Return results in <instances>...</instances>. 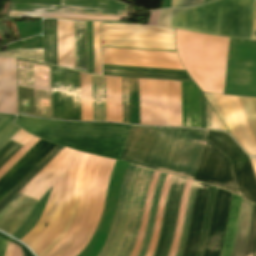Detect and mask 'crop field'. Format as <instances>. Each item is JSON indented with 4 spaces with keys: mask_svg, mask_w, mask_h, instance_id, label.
Wrapping results in <instances>:
<instances>
[{
    "mask_svg": "<svg viewBox=\"0 0 256 256\" xmlns=\"http://www.w3.org/2000/svg\"><path fill=\"white\" fill-rule=\"evenodd\" d=\"M256 140V99L239 97Z\"/></svg>",
    "mask_w": 256,
    "mask_h": 256,
    "instance_id": "42",
    "label": "crop field"
},
{
    "mask_svg": "<svg viewBox=\"0 0 256 256\" xmlns=\"http://www.w3.org/2000/svg\"><path fill=\"white\" fill-rule=\"evenodd\" d=\"M103 74L192 81L189 76L103 70Z\"/></svg>",
    "mask_w": 256,
    "mask_h": 256,
    "instance_id": "40",
    "label": "crop field"
},
{
    "mask_svg": "<svg viewBox=\"0 0 256 256\" xmlns=\"http://www.w3.org/2000/svg\"><path fill=\"white\" fill-rule=\"evenodd\" d=\"M213 0H172L171 7H184V6H192L197 4H202L204 2H210Z\"/></svg>",
    "mask_w": 256,
    "mask_h": 256,
    "instance_id": "48",
    "label": "crop field"
},
{
    "mask_svg": "<svg viewBox=\"0 0 256 256\" xmlns=\"http://www.w3.org/2000/svg\"><path fill=\"white\" fill-rule=\"evenodd\" d=\"M210 187L211 186L209 185H205L201 183H199L198 185V189H197V193H196V197L193 205L189 230L186 237L184 252L182 256L195 255L199 234H200V229H201L202 218H203L206 200H207Z\"/></svg>",
    "mask_w": 256,
    "mask_h": 256,
    "instance_id": "13",
    "label": "crop field"
},
{
    "mask_svg": "<svg viewBox=\"0 0 256 256\" xmlns=\"http://www.w3.org/2000/svg\"><path fill=\"white\" fill-rule=\"evenodd\" d=\"M140 124L169 126L168 81L139 79Z\"/></svg>",
    "mask_w": 256,
    "mask_h": 256,
    "instance_id": "6",
    "label": "crop field"
},
{
    "mask_svg": "<svg viewBox=\"0 0 256 256\" xmlns=\"http://www.w3.org/2000/svg\"><path fill=\"white\" fill-rule=\"evenodd\" d=\"M61 177H62V175L53 185L51 194L49 196V199L46 204V208H45V211H44L42 217L40 218L38 223L33 227V229L20 240V241L24 242L25 244L28 245L42 231L46 222L48 221V219L53 211L55 202H56Z\"/></svg>",
    "mask_w": 256,
    "mask_h": 256,
    "instance_id": "24",
    "label": "crop field"
},
{
    "mask_svg": "<svg viewBox=\"0 0 256 256\" xmlns=\"http://www.w3.org/2000/svg\"><path fill=\"white\" fill-rule=\"evenodd\" d=\"M172 177H173L172 175H168V174L166 176L165 184L163 186L161 196H160L159 207H158V211H157V215H156L153 237H152V241H151V243L148 247L146 256H152L153 251L155 249V246L158 242V234H159V229H160V224H161V219H162L163 207H164L166 195H167Z\"/></svg>",
    "mask_w": 256,
    "mask_h": 256,
    "instance_id": "32",
    "label": "crop field"
},
{
    "mask_svg": "<svg viewBox=\"0 0 256 256\" xmlns=\"http://www.w3.org/2000/svg\"><path fill=\"white\" fill-rule=\"evenodd\" d=\"M44 61L57 65L56 20H43Z\"/></svg>",
    "mask_w": 256,
    "mask_h": 256,
    "instance_id": "21",
    "label": "crop field"
},
{
    "mask_svg": "<svg viewBox=\"0 0 256 256\" xmlns=\"http://www.w3.org/2000/svg\"><path fill=\"white\" fill-rule=\"evenodd\" d=\"M15 116L0 115V148L19 130L12 125Z\"/></svg>",
    "mask_w": 256,
    "mask_h": 256,
    "instance_id": "39",
    "label": "crop field"
},
{
    "mask_svg": "<svg viewBox=\"0 0 256 256\" xmlns=\"http://www.w3.org/2000/svg\"><path fill=\"white\" fill-rule=\"evenodd\" d=\"M252 40H256V0L254 4Z\"/></svg>",
    "mask_w": 256,
    "mask_h": 256,
    "instance_id": "52",
    "label": "crop field"
},
{
    "mask_svg": "<svg viewBox=\"0 0 256 256\" xmlns=\"http://www.w3.org/2000/svg\"><path fill=\"white\" fill-rule=\"evenodd\" d=\"M123 122L129 123L128 78H122Z\"/></svg>",
    "mask_w": 256,
    "mask_h": 256,
    "instance_id": "47",
    "label": "crop field"
},
{
    "mask_svg": "<svg viewBox=\"0 0 256 256\" xmlns=\"http://www.w3.org/2000/svg\"><path fill=\"white\" fill-rule=\"evenodd\" d=\"M130 123L139 124L138 79L129 78Z\"/></svg>",
    "mask_w": 256,
    "mask_h": 256,
    "instance_id": "38",
    "label": "crop field"
},
{
    "mask_svg": "<svg viewBox=\"0 0 256 256\" xmlns=\"http://www.w3.org/2000/svg\"><path fill=\"white\" fill-rule=\"evenodd\" d=\"M103 69L188 75L186 71H179V70H165V69H151V68H137V67H123V66H109V65H103Z\"/></svg>",
    "mask_w": 256,
    "mask_h": 256,
    "instance_id": "46",
    "label": "crop field"
},
{
    "mask_svg": "<svg viewBox=\"0 0 256 256\" xmlns=\"http://www.w3.org/2000/svg\"><path fill=\"white\" fill-rule=\"evenodd\" d=\"M191 182H192L191 180H188V179L186 180V184L184 187V191H183V195H182V199H181V203H180L178 220H177V224H176V230H175V234H174V238H173L169 256L175 255V251L177 248V244H178V240H179V236H180V232H181V228H182V224H183L185 206H186V201H187Z\"/></svg>",
    "mask_w": 256,
    "mask_h": 256,
    "instance_id": "35",
    "label": "crop field"
},
{
    "mask_svg": "<svg viewBox=\"0 0 256 256\" xmlns=\"http://www.w3.org/2000/svg\"><path fill=\"white\" fill-rule=\"evenodd\" d=\"M254 0H219L214 3L172 10V29L251 40Z\"/></svg>",
    "mask_w": 256,
    "mask_h": 256,
    "instance_id": "2",
    "label": "crop field"
},
{
    "mask_svg": "<svg viewBox=\"0 0 256 256\" xmlns=\"http://www.w3.org/2000/svg\"><path fill=\"white\" fill-rule=\"evenodd\" d=\"M182 126L200 128L199 88L181 82Z\"/></svg>",
    "mask_w": 256,
    "mask_h": 256,
    "instance_id": "14",
    "label": "crop field"
},
{
    "mask_svg": "<svg viewBox=\"0 0 256 256\" xmlns=\"http://www.w3.org/2000/svg\"><path fill=\"white\" fill-rule=\"evenodd\" d=\"M6 243H7V241L0 238V256L4 255Z\"/></svg>",
    "mask_w": 256,
    "mask_h": 256,
    "instance_id": "54",
    "label": "crop field"
},
{
    "mask_svg": "<svg viewBox=\"0 0 256 256\" xmlns=\"http://www.w3.org/2000/svg\"><path fill=\"white\" fill-rule=\"evenodd\" d=\"M140 169H141V167H139V166H136L135 169H134L133 175H132L131 180L129 182L126 203H125V207H124L121 222L118 226L116 238H115V241H114L112 247L107 252L106 256H113L117 247H118V245H119V243H120V241H121L122 234H123L124 228L126 226V222H127L128 211H129V206H130V202H131L132 193H133V190H134V187H135Z\"/></svg>",
    "mask_w": 256,
    "mask_h": 256,
    "instance_id": "27",
    "label": "crop field"
},
{
    "mask_svg": "<svg viewBox=\"0 0 256 256\" xmlns=\"http://www.w3.org/2000/svg\"><path fill=\"white\" fill-rule=\"evenodd\" d=\"M10 241H12V242H14V243L20 245V246L22 247V249L24 250L25 256H33L32 253H31L27 248H25L24 246H22L21 244H19L17 241H15V240H13V239H11V238H10Z\"/></svg>",
    "mask_w": 256,
    "mask_h": 256,
    "instance_id": "55",
    "label": "crop field"
},
{
    "mask_svg": "<svg viewBox=\"0 0 256 256\" xmlns=\"http://www.w3.org/2000/svg\"><path fill=\"white\" fill-rule=\"evenodd\" d=\"M165 175L166 174L162 173L161 176H160V179L158 181V184H157V187H156V190H155V194H154V198H153V202H152V206H151V211H150V217H149L147 230H146L144 240H143V243H142V247H141V250H140L138 256H144L145 255L148 244L150 242L152 231H153V226H154L157 204H158V200H159V195H160V191H161V188H162V184H163Z\"/></svg>",
    "mask_w": 256,
    "mask_h": 256,
    "instance_id": "31",
    "label": "crop field"
},
{
    "mask_svg": "<svg viewBox=\"0 0 256 256\" xmlns=\"http://www.w3.org/2000/svg\"><path fill=\"white\" fill-rule=\"evenodd\" d=\"M32 135L22 131L21 129L16 133L12 140L24 145ZM10 140L1 150H0V167L10 159L21 147L22 145Z\"/></svg>",
    "mask_w": 256,
    "mask_h": 256,
    "instance_id": "33",
    "label": "crop field"
},
{
    "mask_svg": "<svg viewBox=\"0 0 256 256\" xmlns=\"http://www.w3.org/2000/svg\"><path fill=\"white\" fill-rule=\"evenodd\" d=\"M231 194L218 189L203 256H219L226 228Z\"/></svg>",
    "mask_w": 256,
    "mask_h": 256,
    "instance_id": "10",
    "label": "crop field"
},
{
    "mask_svg": "<svg viewBox=\"0 0 256 256\" xmlns=\"http://www.w3.org/2000/svg\"><path fill=\"white\" fill-rule=\"evenodd\" d=\"M204 94L222 122L224 123L225 121L231 136L250 156H256V142L242 110L239 98L229 95L212 94L222 114L223 121L212 95Z\"/></svg>",
    "mask_w": 256,
    "mask_h": 256,
    "instance_id": "5",
    "label": "crop field"
},
{
    "mask_svg": "<svg viewBox=\"0 0 256 256\" xmlns=\"http://www.w3.org/2000/svg\"><path fill=\"white\" fill-rule=\"evenodd\" d=\"M58 65L74 69L73 22L57 20Z\"/></svg>",
    "mask_w": 256,
    "mask_h": 256,
    "instance_id": "15",
    "label": "crop field"
},
{
    "mask_svg": "<svg viewBox=\"0 0 256 256\" xmlns=\"http://www.w3.org/2000/svg\"><path fill=\"white\" fill-rule=\"evenodd\" d=\"M134 167H135L134 165L130 164L129 168L123 178L121 189H120L118 208H117V211H116V214L114 217L112 228H111V231L107 238V241L105 243V246L98 256H105L106 252L108 251V249L110 248V246L114 240L116 229L120 222V218H121V214H122V210H123V206H124V202H125V198H126L128 182L130 180V177H131Z\"/></svg>",
    "mask_w": 256,
    "mask_h": 256,
    "instance_id": "22",
    "label": "crop field"
},
{
    "mask_svg": "<svg viewBox=\"0 0 256 256\" xmlns=\"http://www.w3.org/2000/svg\"><path fill=\"white\" fill-rule=\"evenodd\" d=\"M36 204L37 201L18 193L0 210V230L12 235Z\"/></svg>",
    "mask_w": 256,
    "mask_h": 256,
    "instance_id": "12",
    "label": "crop field"
},
{
    "mask_svg": "<svg viewBox=\"0 0 256 256\" xmlns=\"http://www.w3.org/2000/svg\"><path fill=\"white\" fill-rule=\"evenodd\" d=\"M93 121H105L104 76L92 75Z\"/></svg>",
    "mask_w": 256,
    "mask_h": 256,
    "instance_id": "25",
    "label": "crop field"
},
{
    "mask_svg": "<svg viewBox=\"0 0 256 256\" xmlns=\"http://www.w3.org/2000/svg\"><path fill=\"white\" fill-rule=\"evenodd\" d=\"M216 189L217 188L212 186V189L209 193V197H208V201H207V205H206V210H205V214H204V219H203L201 237H200V241H199L196 256H202V252H203V248H204V244H205V240H206V234H207V229H208V225H209V219H210L211 212H212L213 200H214V195L216 193Z\"/></svg>",
    "mask_w": 256,
    "mask_h": 256,
    "instance_id": "37",
    "label": "crop field"
},
{
    "mask_svg": "<svg viewBox=\"0 0 256 256\" xmlns=\"http://www.w3.org/2000/svg\"><path fill=\"white\" fill-rule=\"evenodd\" d=\"M252 203L242 199L239 221L231 256H243L249 228Z\"/></svg>",
    "mask_w": 256,
    "mask_h": 256,
    "instance_id": "18",
    "label": "crop field"
},
{
    "mask_svg": "<svg viewBox=\"0 0 256 256\" xmlns=\"http://www.w3.org/2000/svg\"><path fill=\"white\" fill-rule=\"evenodd\" d=\"M75 69L86 72L85 22H74Z\"/></svg>",
    "mask_w": 256,
    "mask_h": 256,
    "instance_id": "26",
    "label": "crop field"
},
{
    "mask_svg": "<svg viewBox=\"0 0 256 256\" xmlns=\"http://www.w3.org/2000/svg\"><path fill=\"white\" fill-rule=\"evenodd\" d=\"M95 73L101 74L100 23L93 22Z\"/></svg>",
    "mask_w": 256,
    "mask_h": 256,
    "instance_id": "44",
    "label": "crop field"
},
{
    "mask_svg": "<svg viewBox=\"0 0 256 256\" xmlns=\"http://www.w3.org/2000/svg\"><path fill=\"white\" fill-rule=\"evenodd\" d=\"M63 147L56 146L39 164H37L1 201L0 209L19 192L44 166H46Z\"/></svg>",
    "mask_w": 256,
    "mask_h": 256,
    "instance_id": "28",
    "label": "crop field"
},
{
    "mask_svg": "<svg viewBox=\"0 0 256 256\" xmlns=\"http://www.w3.org/2000/svg\"><path fill=\"white\" fill-rule=\"evenodd\" d=\"M16 125L45 140L118 160L130 126L68 123L17 116ZM256 204V180L231 137L194 129L131 126L119 160L219 187Z\"/></svg>",
    "mask_w": 256,
    "mask_h": 256,
    "instance_id": "1",
    "label": "crop field"
},
{
    "mask_svg": "<svg viewBox=\"0 0 256 256\" xmlns=\"http://www.w3.org/2000/svg\"><path fill=\"white\" fill-rule=\"evenodd\" d=\"M256 176V158H250Z\"/></svg>",
    "mask_w": 256,
    "mask_h": 256,
    "instance_id": "57",
    "label": "crop field"
},
{
    "mask_svg": "<svg viewBox=\"0 0 256 256\" xmlns=\"http://www.w3.org/2000/svg\"><path fill=\"white\" fill-rule=\"evenodd\" d=\"M60 5L127 11L128 5L113 0H61Z\"/></svg>",
    "mask_w": 256,
    "mask_h": 256,
    "instance_id": "29",
    "label": "crop field"
},
{
    "mask_svg": "<svg viewBox=\"0 0 256 256\" xmlns=\"http://www.w3.org/2000/svg\"><path fill=\"white\" fill-rule=\"evenodd\" d=\"M87 72L94 73L92 22H86Z\"/></svg>",
    "mask_w": 256,
    "mask_h": 256,
    "instance_id": "45",
    "label": "crop field"
},
{
    "mask_svg": "<svg viewBox=\"0 0 256 256\" xmlns=\"http://www.w3.org/2000/svg\"><path fill=\"white\" fill-rule=\"evenodd\" d=\"M8 16L40 17V13L10 11Z\"/></svg>",
    "mask_w": 256,
    "mask_h": 256,
    "instance_id": "51",
    "label": "crop field"
},
{
    "mask_svg": "<svg viewBox=\"0 0 256 256\" xmlns=\"http://www.w3.org/2000/svg\"><path fill=\"white\" fill-rule=\"evenodd\" d=\"M159 174H160L159 172L155 171L154 175H153V178L151 180L149 190H148L147 199H146V204H145V208H144V212H143V216H142L139 235H138V238L136 240V243H135V245L132 249V252H131L130 256H137V254L139 252V249L141 247L142 239H143V236H144V233H145L147 220H148V216H149L152 197H153V193H154V190H155V186H156Z\"/></svg>",
    "mask_w": 256,
    "mask_h": 256,
    "instance_id": "30",
    "label": "crop field"
},
{
    "mask_svg": "<svg viewBox=\"0 0 256 256\" xmlns=\"http://www.w3.org/2000/svg\"><path fill=\"white\" fill-rule=\"evenodd\" d=\"M102 47L176 52L174 30L122 22H102Z\"/></svg>",
    "mask_w": 256,
    "mask_h": 256,
    "instance_id": "3",
    "label": "crop field"
},
{
    "mask_svg": "<svg viewBox=\"0 0 256 256\" xmlns=\"http://www.w3.org/2000/svg\"><path fill=\"white\" fill-rule=\"evenodd\" d=\"M0 56L30 58L43 62V49H18L0 52Z\"/></svg>",
    "mask_w": 256,
    "mask_h": 256,
    "instance_id": "43",
    "label": "crop field"
},
{
    "mask_svg": "<svg viewBox=\"0 0 256 256\" xmlns=\"http://www.w3.org/2000/svg\"><path fill=\"white\" fill-rule=\"evenodd\" d=\"M170 10H161L157 26L169 28Z\"/></svg>",
    "mask_w": 256,
    "mask_h": 256,
    "instance_id": "49",
    "label": "crop field"
},
{
    "mask_svg": "<svg viewBox=\"0 0 256 256\" xmlns=\"http://www.w3.org/2000/svg\"><path fill=\"white\" fill-rule=\"evenodd\" d=\"M0 112L17 114L16 59L0 58Z\"/></svg>",
    "mask_w": 256,
    "mask_h": 256,
    "instance_id": "11",
    "label": "crop field"
},
{
    "mask_svg": "<svg viewBox=\"0 0 256 256\" xmlns=\"http://www.w3.org/2000/svg\"><path fill=\"white\" fill-rule=\"evenodd\" d=\"M82 120L92 121L91 75L81 73Z\"/></svg>",
    "mask_w": 256,
    "mask_h": 256,
    "instance_id": "34",
    "label": "crop field"
},
{
    "mask_svg": "<svg viewBox=\"0 0 256 256\" xmlns=\"http://www.w3.org/2000/svg\"><path fill=\"white\" fill-rule=\"evenodd\" d=\"M106 121L122 122L121 78L105 76Z\"/></svg>",
    "mask_w": 256,
    "mask_h": 256,
    "instance_id": "16",
    "label": "crop field"
},
{
    "mask_svg": "<svg viewBox=\"0 0 256 256\" xmlns=\"http://www.w3.org/2000/svg\"><path fill=\"white\" fill-rule=\"evenodd\" d=\"M56 144L40 139L0 178V200L37 164Z\"/></svg>",
    "mask_w": 256,
    "mask_h": 256,
    "instance_id": "9",
    "label": "crop field"
},
{
    "mask_svg": "<svg viewBox=\"0 0 256 256\" xmlns=\"http://www.w3.org/2000/svg\"><path fill=\"white\" fill-rule=\"evenodd\" d=\"M11 5H14L13 10H19V11H39V12L78 13V14L117 15V16H126L127 14V12H120V11H107V10L75 8V7H65V6L19 4V3H12Z\"/></svg>",
    "mask_w": 256,
    "mask_h": 256,
    "instance_id": "17",
    "label": "crop field"
},
{
    "mask_svg": "<svg viewBox=\"0 0 256 256\" xmlns=\"http://www.w3.org/2000/svg\"><path fill=\"white\" fill-rule=\"evenodd\" d=\"M240 202V198L232 195L228 216L227 231L220 256H230L234 240L238 213L240 209Z\"/></svg>",
    "mask_w": 256,
    "mask_h": 256,
    "instance_id": "23",
    "label": "crop field"
},
{
    "mask_svg": "<svg viewBox=\"0 0 256 256\" xmlns=\"http://www.w3.org/2000/svg\"><path fill=\"white\" fill-rule=\"evenodd\" d=\"M153 170L142 168L132 198L127 226L114 256H129L138 235L141 216Z\"/></svg>",
    "mask_w": 256,
    "mask_h": 256,
    "instance_id": "7",
    "label": "crop field"
},
{
    "mask_svg": "<svg viewBox=\"0 0 256 256\" xmlns=\"http://www.w3.org/2000/svg\"><path fill=\"white\" fill-rule=\"evenodd\" d=\"M185 180L186 179L184 178L176 176L173 177L165 203L159 242L156 246L153 256H168Z\"/></svg>",
    "mask_w": 256,
    "mask_h": 256,
    "instance_id": "8",
    "label": "crop field"
},
{
    "mask_svg": "<svg viewBox=\"0 0 256 256\" xmlns=\"http://www.w3.org/2000/svg\"><path fill=\"white\" fill-rule=\"evenodd\" d=\"M52 118L81 120L80 73L51 65Z\"/></svg>",
    "mask_w": 256,
    "mask_h": 256,
    "instance_id": "4",
    "label": "crop field"
},
{
    "mask_svg": "<svg viewBox=\"0 0 256 256\" xmlns=\"http://www.w3.org/2000/svg\"><path fill=\"white\" fill-rule=\"evenodd\" d=\"M12 245H13V243L8 242V245H7V249H6L5 256H10V255H11Z\"/></svg>",
    "mask_w": 256,
    "mask_h": 256,
    "instance_id": "56",
    "label": "crop field"
},
{
    "mask_svg": "<svg viewBox=\"0 0 256 256\" xmlns=\"http://www.w3.org/2000/svg\"><path fill=\"white\" fill-rule=\"evenodd\" d=\"M23 252L21 250V248L17 245L13 246V252L11 256H22Z\"/></svg>",
    "mask_w": 256,
    "mask_h": 256,
    "instance_id": "53",
    "label": "crop field"
},
{
    "mask_svg": "<svg viewBox=\"0 0 256 256\" xmlns=\"http://www.w3.org/2000/svg\"><path fill=\"white\" fill-rule=\"evenodd\" d=\"M197 184H198V182L193 181L192 185H191V189H190V193H189V197H188V201H187V206H186L183 229H182L181 237L179 240L176 256L182 255V249L184 246L185 236H186V232H187V228H188V224H189V220H190V215H191V210H192V205H193V201H194V197H195Z\"/></svg>",
    "mask_w": 256,
    "mask_h": 256,
    "instance_id": "36",
    "label": "crop field"
},
{
    "mask_svg": "<svg viewBox=\"0 0 256 256\" xmlns=\"http://www.w3.org/2000/svg\"><path fill=\"white\" fill-rule=\"evenodd\" d=\"M205 112H206V127H212V113H214V111L206 99H205Z\"/></svg>",
    "mask_w": 256,
    "mask_h": 256,
    "instance_id": "50",
    "label": "crop field"
},
{
    "mask_svg": "<svg viewBox=\"0 0 256 256\" xmlns=\"http://www.w3.org/2000/svg\"><path fill=\"white\" fill-rule=\"evenodd\" d=\"M256 250V205L253 204L250 230L244 256H254ZM256 256V254H255Z\"/></svg>",
    "mask_w": 256,
    "mask_h": 256,
    "instance_id": "41",
    "label": "crop field"
},
{
    "mask_svg": "<svg viewBox=\"0 0 256 256\" xmlns=\"http://www.w3.org/2000/svg\"><path fill=\"white\" fill-rule=\"evenodd\" d=\"M94 155H89L88 159H87V163H86V168H85V172H84V180H83V187H82V192H81V198H80V204H79V208L77 211V214L74 218V221L67 233V235L59 242V244L46 256H54L59 249L68 241V239L71 237L72 233L74 232L80 218L81 215L83 213V209H84V205H85V199H86V191H87V185H88V180H89V174H90V170L93 166L94 160H95Z\"/></svg>",
    "mask_w": 256,
    "mask_h": 256,
    "instance_id": "20",
    "label": "crop field"
},
{
    "mask_svg": "<svg viewBox=\"0 0 256 256\" xmlns=\"http://www.w3.org/2000/svg\"><path fill=\"white\" fill-rule=\"evenodd\" d=\"M81 155H82V153L78 152V154L75 156L74 161H73L71 174H70L68 202H67V206L64 211L63 217H62L58 227L55 229V231L34 251V253L36 255L39 254L41 251H43L51 243V241L62 231L63 227L65 226V224L68 220L72 202H73L75 179H76L77 169H78Z\"/></svg>",
    "mask_w": 256,
    "mask_h": 256,
    "instance_id": "19",
    "label": "crop field"
},
{
    "mask_svg": "<svg viewBox=\"0 0 256 256\" xmlns=\"http://www.w3.org/2000/svg\"><path fill=\"white\" fill-rule=\"evenodd\" d=\"M24 256V255H23Z\"/></svg>",
    "mask_w": 256,
    "mask_h": 256,
    "instance_id": "58",
    "label": "crop field"
}]
</instances>
